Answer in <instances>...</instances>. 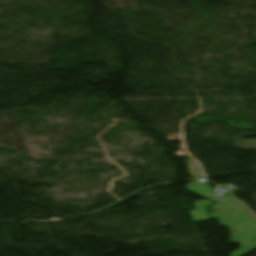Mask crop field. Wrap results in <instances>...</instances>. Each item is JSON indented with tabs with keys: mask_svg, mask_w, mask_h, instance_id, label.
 Here are the masks:
<instances>
[{
	"mask_svg": "<svg viewBox=\"0 0 256 256\" xmlns=\"http://www.w3.org/2000/svg\"><path fill=\"white\" fill-rule=\"evenodd\" d=\"M221 199L224 202L211 207L216 211L212 213V217L220 219L222 226H230L233 233L230 242L242 248L230 256H244L256 250V219L230 194Z\"/></svg>",
	"mask_w": 256,
	"mask_h": 256,
	"instance_id": "crop-field-1",
	"label": "crop field"
},
{
	"mask_svg": "<svg viewBox=\"0 0 256 256\" xmlns=\"http://www.w3.org/2000/svg\"><path fill=\"white\" fill-rule=\"evenodd\" d=\"M194 204L197 207V210L191 211L194 221L198 222V221L210 220V218L205 213L204 208L206 205H211L212 202L209 200H204V201L195 202Z\"/></svg>",
	"mask_w": 256,
	"mask_h": 256,
	"instance_id": "crop-field-2",
	"label": "crop field"
},
{
	"mask_svg": "<svg viewBox=\"0 0 256 256\" xmlns=\"http://www.w3.org/2000/svg\"><path fill=\"white\" fill-rule=\"evenodd\" d=\"M188 190H191L200 195H204L206 197L214 195L213 191L209 187L199 182L189 183Z\"/></svg>",
	"mask_w": 256,
	"mask_h": 256,
	"instance_id": "crop-field-3",
	"label": "crop field"
},
{
	"mask_svg": "<svg viewBox=\"0 0 256 256\" xmlns=\"http://www.w3.org/2000/svg\"><path fill=\"white\" fill-rule=\"evenodd\" d=\"M240 203H242L256 217V213L251 210L243 201H241Z\"/></svg>",
	"mask_w": 256,
	"mask_h": 256,
	"instance_id": "crop-field-5",
	"label": "crop field"
},
{
	"mask_svg": "<svg viewBox=\"0 0 256 256\" xmlns=\"http://www.w3.org/2000/svg\"><path fill=\"white\" fill-rule=\"evenodd\" d=\"M186 163L188 164V166L190 167V169L188 170L189 173L195 177V178H201L204 177V174L202 173L199 165L193 160H187Z\"/></svg>",
	"mask_w": 256,
	"mask_h": 256,
	"instance_id": "crop-field-4",
	"label": "crop field"
}]
</instances>
